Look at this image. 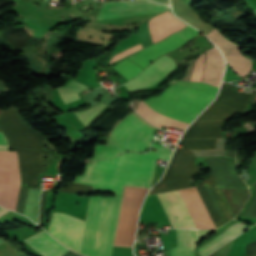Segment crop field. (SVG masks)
<instances>
[{"mask_svg":"<svg viewBox=\"0 0 256 256\" xmlns=\"http://www.w3.org/2000/svg\"><path fill=\"white\" fill-rule=\"evenodd\" d=\"M210 234L209 230H192L193 246L203 237ZM178 247L171 249L172 256H192L191 230H177ZM194 256V254H193Z\"/></svg>","mask_w":256,"mask_h":256,"instance_id":"20","label":"crop field"},{"mask_svg":"<svg viewBox=\"0 0 256 256\" xmlns=\"http://www.w3.org/2000/svg\"><path fill=\"white\" fill-rule=\"evenodd\" d=\"M253 158H254V160H255V162H256V154H255V156H254Z\"/></svg>","mask_w":256,"mask_h":256,"instance_id":"38","label":"crop field"},{"mask_svg":"<svg viewBox=\"0 0 256 256\" xmlns=\"http://www.w3.org/2000/svg\"><path fill=\"white\" fill-rule=\"evenodd\" d=\"M147 192L125 187L114 245L132 247L139 208Z\"/></svg>","mask_w":256,"mask_h":256,"instance_id":"9","label":"crop field"},{"mask_svg":"<svg viewBox=\"0 0 256 256\" xmlns=\"http://www.w3.org/2000/svg\"><path fill=\"white\" fill-rule=\"evenodd\" d=\"M253 186H254V191H255V197L252 200V202L250 203V205L247 208V210L245 211V213L243 214V216L256 217V183L253 184Z\"/></svg>","mask_w":256,"mask_h":256,"instance_id":"28","label":"crop field"},{"mask_svg":"<svg viewBox=\"0 0 256 256\" xmlns=\"http://www.w3.org/2000/svg\"><path fill=\"white\" fill-rule=\"evenodd\" d=\"M198 33L200 32L188 25L185 29L171 35L167 39L143 49L128 58L144 68L157 57L180 47L188 40L194 38Z\"/></svg>","mask_w":256,"mask_h":256,"instance_id":"13","label":"crop field"},{"mask_svg":"<svg viewBox=\"0 0 256 256\" xmlns=\"http://www.w3.org/2000/svg\"><path fill=\"white\" fill-rule=\"evenodd\" d=\"M1 113H2V110H0V115H1Z\"/></svg>","mask_w":256,"mask_h":256,"instance_id":"39","label":"crop field"},{"mask_svg":"<svg viewBox=\"0 0 256 256\" xmlns=\"http://www.w3.org/2000/svg\"><path fill=\"white\" fill-rule=\"evenodd\" d=\"M25 241L44 256H63L69 251L51 239L45 231Z\"/></svg>","mask_w":256,"mask_h":256,"instance_id":"21","label":"crop field"},{"mask_svg":"<svg viewBox=\"0 0 256 256\" xmlns=\"http://www.w3.org/2000/svg\"><path fill=\"white\" fill-rule=\"evenodd\" d=\"M169 8L148 0L103 2L96 19L138 13L164 12L169 10Z\"/></svg>","mask_w":256,"mask_h":256,"instance_id":"14","label":"crop field"},{"mask_svg":"<svg viewBox=\"0 0 256 256\" xmlns=\"http://www.w3.org/2000/svg\"><path fill=\"white\" fill-rule=\"evenodd\" d=\"M113 68L120 72L128 80L134 78L142 70L135 63L127 59L123 60Z\"/></svg>","mask_w":256,"mask_h":256,"instance_id":"24","label":"crop field"},{"mask_svg":"<svg viewBox=\"0 0 256 256\" xmlns=\"http://www.w3.org/2000/svg\"><path fill=\"white\" fill-rule=\"evenodd\" d=\"M10 150L3 132H0V151ZM21 179L16 151L0 152V205L16 209Z\"/></svg>","mask_w":256,"mask_h":256,"instance_id":"8","label":"crop field"},{"mask_svg":"<svg viewBox=\"0 0 256 256\" xmlns=\"http://www.w3.org/2000/svg\"><path fill=\"white\" fill-rule=\"evenodd\" d=\"M176 66L173 59L163 56L148 66L136 79L125 84L129 91H136L148 87L159 81Z\"/></svg>","mask_w":256,"mask_h":256,"instance_id":"15","label":"crop field"},{"mask_svg":"<svg viewBox=\"0 0 256 256\" xmlns=\"http://www.w3.org/2000/svg\"><path fill=\"white\" fill-rule=\"evenodd\" d=\"M64 256H79L71 251H69L68 253H66Z\"/></svg>","mask_w":256,"mask_h":256,"instance_id":"34","label":"crop field"},{"mask_svg":"<svg viewBox=\"0 0 256 256\" xmlns=\"http://www.w3.org/2000/svg\"><path fill=\"white\" fill-rule=\"evenodd\" d=\"M250 97L245 93H232V85L223 83L217 99L183 134L181 139H188L184 149H214L226 120L235 111L243 112Z\"/></svg>","mask_w":256,"mask_h":256,"instance_id":"3","label":"crop field"},{"mask_svg":"<svg viewBox=\"0 0 256 256\" xmlns=\"http://www.w3.org/2000/svg\"><path fill=\"white\" fill-rule=\"evenodd\" d=\"M245 230H247L245 225L237 222L236 224L228 228L225 233H223L222 235H220L219 237L211 241L206 246L200 248L199 252L201 256H206L207 254L214 251L215 249L225 244L229 240L233 239L234 237L244 232Z\"/></svg>","mask_w":256,"mask_h":256,"instance_id":"22","label":"crop field"},{"mask_svg":"<svg viewBox=\"0 0 256 256\" xmlns=\"http://www.w3.org/2000/svg\"><path fill=\"white\" fill-rule=\"evenodd\" d=\"M84 221L53 212L48 232L66 247L80 251Z\"/></svg>","mask_w":256,"mask_h":256,"instance_id":"12","label":"crop field"},{"mask_svg":"<svg viewBox=\"0 0 256 256\" xmlns=\"http://www.w3.org/2000/svg\"><path fill=\"white\" fill-rule=\"evenodd\" d=\"M158 149L146 154L126 153L110 159L97 160L86 166L83 176L74 182L94 185L93 192H108L121 196L123 185L151 187L157 158L168 161L172 151Z\"/></svg>","mask_w":256,"mask_h":256,"instance_id":"2","label":"crop field"},{"mask_svg":"<svg viewBox=\"0 0 256 256\" xmlns=\"http://www.w3.org/2000/svg\"><path fill=\"white\" fill-rule=\"evenodd\" d=\"M207 36L220 48L226 61L239 75H246L250 71L251 60L240 55L237 45L222 37L216 29Z\"/></svg>","mask_w":256,"mask_h":256,"instance_id":"16","label":"crop field"},{"mask_svg":"<svg viewBox=\"0 0 256 256\" xmlns=\"http://www.w3.org/2000/svg\"><path fill=\"white\" fill-rule=\"evenodd\" d=\"M152 131L153 128L131 114L113 130L106 146H96L92 161L128 151L145 152L154 140Z\"/></svg>","mask_w":256,"mask_h":256,"instance_id":"7","label":"crop field"},{"mask_svg":"<svg viewBox=\"0 0 256 256\" xmlns=\"http://www.w3.org/2000/svg\"><path fill=\"white\" fill-rule=\"evenodd\" d=\"M204 56L205 53L198 58L191 81H201ZM218 90L204 83L177 82L159 96L141 100L136 112L159 128L170 125L185 130L216 97Z\"/></svg>","mask_w":256,"mask_h":256,"instance_id":"1","label":"crop field"},{"mask_svg":"<svg viewBox=\"0 0 256 256\" xmlns=\"http://www.w3.org/2000/svg\"><path fill=\"white\" fill-rule=\"evenodd\" d=\"M28 189L29 188L23 187V186H21V189H20V194H19V199H18V204H17L16 211L20 212L22 214L24 212V206H25V201H26Z\"/></svg>","mask_w":256,"mask_h":256,"instance_id":"27","label":"crop field"},{"mask_svg":"<svg viewBox=\"0 0 256 256\" xmlns=\"http://www.w3.org/2000/svg\"><path fill=\"white\" fill-rule=\"evenodd\" d=\"M87 88L86 86L72 80L67 83L64 87L58 88V92L64 103L79 99L78 92Z\"/></svg>","mask_w":256,"mask_h":256,"instance_id":"23","label":"crop field"},{"mask_svg":"<svg viewBox=\"0 0 256 256\" xmlns=\"http://www.w3.org/2000/svg\"><path fill=\"white\" fill-rule=\"evenodd\" d=\"M3 242H5V240H3L2 238H0V243H3Z\"/></svg>","mask_w":256,"mask_h":256,"instance_id":"37","label":"crop field"},{"mask_svg":"<svg viewBox=\"0 0 256 256\" xmlns=\"http://www.w3.org/2000/svg\"><path fill=\"white\" fill-rule=\"evenodd\" d=\"M206 160L219 187H247L236 172L234 160L226 158H209ZM212 172L208 178L196 187L216 227H218L232 219L233 216L221 195Z\"/></svg>","mask_w":256,"mask_h":256,"instance_id":"5","label":"crop field"},{"mask_svg":"<svg viewBox=\"0 0 256 256\" xmlns=\"http://www.w3.org/2000/svg\"><path fill=\"white\" fill-rule=\"evenodd\" d=\"M155 1L161 2V3L166 4V5H169L168 0H155Z\"/></svg>","mask_w":256,"mask_h":256,"instance_id":"35","label":"crop field"},{"mask_svg":"<svg viewBox=\"0 0 256 256\" xmlns=\"http://www.w3.org/2000/svg\"><path fill=\"white\" fill-rule=\"evenodd\" d=\"M9 91L8 87L0 81V92Z\"/></svg>","mask_w":256,"mask_h":256,"instance_id":"33","label":"crop field"},{"mask_svg":"<svg viewBox=\"0 0 256 256\" xmlns=\"http://www.w3.org/2000/svg\"><path fill=\"white\" fill-rule=\"evenodd\" d=\"M197 227L215 228L195 187L179 190ZM178 190L158 194L173 228H197Z\"/></svg>","mask_w":256,"mask_h":256,"instance_id":"6","label":"crop field"},{"mask_svg":"<svg viewBox=\"0 0 256 256\" xmlns=\"http://www.w3.org/2000/svg\"><path fill=\"white\" fill-rule=\"evenodd\" d=\"M105 106L107 105L101 102L91 109L76 112V115L80 119V121L87 126V124L95 117V115Z\"/></svg>","mask_w":256,"mask_h":256,"instance_id":"25","label":"crop field"},{"mask_svg":"<svg viewBox=\"0 0 256 256\" xmlns=\"http://www.w3.org/2000/svg\"><path fill=\"white\" fill-rule=\"evenodd\" d=\"M194 159L191 151L176 150L165 176L148 195L192 186L189 178L200 169V165L193 166Z\"/></svg>","mask_w":256,"mask_h":256,"instance_id":"10","label":"crop field"},{"mask_svg":"<svg viewBox=\"0 0 256 256\" xmlns=\"http://www.w3.org/2000/svg\"><path fill=\"white\" fill-rule=\"evenodd\" d=\"M46 194L47 192L43 191L42 198H41V209H40V219H39L40 225L44 223V208H45Z\"/></svg>","mask_w":256,"mask_h":256,"instance_id":"30","label":"crop field"},{"mask_svg":"<svg viewBox=\"0 0 256 256\" xmlns=\"http://www.w3.org/2000/svg\"><path fill=\"white\" fill-rule=\"evenodd\" d=\"M0 128L5 133L11 147L43 150V145L47 143L43 136L23 122L13 107L7 109L1 116Z\"/></svg>","mask_w":256,"mask_h":256,"instance_id":"11","label":"crop field"},{"mask_svg":"<svg viewBox=\"0 0 256 256\" xmlns=\"http://www.w3.org/2000/svg\"><path fill=\"white\" fill-rule=\"evenodd\" d=\"M8 211H9V210H6V209L1 208V209H0V216L3 215V214H5V213L8 212Z\"/></svg>","mask_w":256,"mask_h":256,"instance_id":"36","label":"crop field"},{"mask_svg":"<svg viewBox=\"0 0 256 256\" xmlns=\"http://www.w3.org/2000/svg\"><path fill=\"white\" fill-rule=\"evenodd\" d=\"M92 188L93 186L90 185L70 183L68 187H63L60 191L81 194L85 192H91Z\"/></svg>","mask_w":256,"mask_h":256,"instance_id":"26","label":"crop field"},{"mask_svg":"<svg viewBox=\"0 0 256 256\" xmlns=\"http://www.w3.org/2000/svg\"><path fill=\"white\" fill-rule=\"evenodd\" d=\"M166 14L175 24L182 28L186 26L176 19L170 11L166 12ZM167 16L163 13L149 20L151 36L154 43L181 29L179 26L171 22Z\"/></svg>","mask_w":256,"mask_h":256,"instance_id":"18","label":"crop field"},{"mask_svg":"<svg viewBox=\"0 0 256 256\" xmlns=\"http://www.w3.org/2000/svg\"><path fill=\"white\" fill-rule=\"evenodd\" d=\"M205 53L206 64L203 81L219 87L224 71V59L216 47Z\"/></svg>","mask_w":256,"mask_h":256,"instance_id":"19","label":"crop field"},{"mask_svg":"<svg viewBox=\"0 0 256 256\" xmlns=\"http://www.w3.org/2000/svg\"><path fill=\"white\" fill-rule=\"evenodd\" d=\"M246 256H256V242L247 244Z\"/></svg>","mask_w":256,"mask_h":256,"instance_id":"32","label":"crop field"},{"mask_svg":"<svg viewBox=\"0 0 256 256\" xmlns=\"http://www.w3.org/2000/svg\"><path fill=\"white\" fill-rule=\"evenodd\" d=\"M232 243H233V241H231L230 243H228L227 245H225L221 249L214 252L213 256H226L230 247H231V245H232Z\"/></svg>","mask_w":256,"mask_h":256,"instance_id":"31","label":"crop field"},{"mask_svg":"<svg viewBox=\"0 0 256 256\" xmlns=\"http://www.w3.org/2000/svg\"><path fill=\"white\" fill-rule=\"evenodd\" d=\"M142 46H141V44H139V45H136V46H134V47H131V48H129V49H127V50H125V51H123V52H121L120 54H118L117 56H115L114 58H112L111 59V61H110V63L111 62H113V61H116V60H118V59H120V58H122L121 56H123V55H125V54H127V53H130V52H132V51H134V50H137V49H139V48H141ZM142 49V48H141ZM140 50V49H139ZM138 51V50H137ZM135 52V51H134ZM133 53V52H132ZM131 54V53H130ZM128 55V54H127ZM126 56V55H125ZM124 57V56H123Z\"/></svg>","mask_w":256,"mask_h":256,"instance_id":"29","label":"crop field"},{"mask_svg":"<svg viewBox=\"0 0 256 256\" xmlns=\"http://www.w3.org/2000/svg\"><path fill=\"white\" fill-rule=\"evenodd\" d=\"M19 153V163L22 180L26 183L38 185V173L43 171V163L40 151L16 149Z\"/></svg>","mask_w":256,"mask_h":256,"instance_id":"17","label":"crop field"},{"mask_svg":"<svg viewBox=\"0 0 256 256\" xmlns=\"http://www.w3.org/2000/svg\"><path fill=\"white\" fill-rule=\"evenodd\" d=\"M121 199L90 197L80 254L111 256Z\"/></svg>","mask_w":256,"mask_h":256,"instance_id":"4","label":"crop field"}]
</instances>
